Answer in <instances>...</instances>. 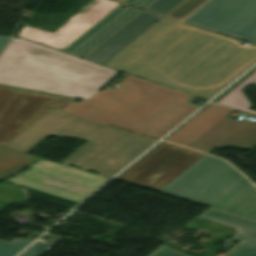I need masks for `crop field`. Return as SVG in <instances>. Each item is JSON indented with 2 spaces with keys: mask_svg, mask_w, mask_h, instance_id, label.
<instances>
[{
  "mask_svg": "<svg viewBox=\"0 0 256 256\" xmlns=\"http://www.w3.org/2000/svg\"><path fill=\"white\" fill-rule=\"evenodd\" d=\"M184 0H155L84 59L104 65Z\"/></svg>",
  "mask_w": 256,
  "mask_h": 256,
  "instance_id": "obj_11",
  "label": "crop field"
},
{
  "mask_svg": "<svg viewBox=\"0 0 256 256\" xmlns=\"http://www.w3.org/2000/svg\"><path fill=\"white\" fill-rule=\"evenodd\" d=\"M30 242L32 241L21 238L11 243L0 241V256H14Z\"/></svg>",
  "mask_w": 256,
  "mask_h": 256,
  "instance_id": "obj_19",
  "label": "crop field"
},
{
  "mask_svg": "<svg viewBox=\"0 0 256 256\" xmlns=\"http://www.w3.org/2000/svg\"><path fill=\"white\" fill-rule=\"evenodd\" d=\"M119 84L65 111L160 139L198 109L183 103L190 96L134 77Z\"/></svg>",
  "mask_w": 256,
  "mask_h": 256,
  "instance_id": "obj_4",
  "label": "crop field"
},
{
  "mask_svg": "<svg viewBox=\"0 0 256 256\" xmlns=\"http://www.w3.org/2000/svg\"><path fill=\"white\" fill-rule=\"evenodd\" d=\"M199 217L232 227L242 242L225 256H256V221L210 208Z\"/></svg>",
  "mask_w": 256,
  "mask_h": 256,
  "instance_id": "obj_13",
  "label": "crop field"
},
{
  "mask_svg": "<svg viewBox=\"0 0 256 256\" xmlns=\"http://www.w3.org/2000/svg\"><path fill=\"white\" fill-rule=\"evenodd\" d=\"M116 1H119V2H121V3H122V2H123V1H125V0H116Z\"/></svg>",
  "mask_w": 256,
  "mask_h": 256,
  "instance_id": "obj_25",
  "label": "crop field"
},
{
  "mask_svg": "<svg viewBox=\"0 0 256 256\" xmlns=\"http://www.w3.org/2000/svg\"><path fill=\"white\" fill-rule=\"evenodd\" d=\"M153 1L154 0H126L123 3L144 9L145 7H147Z\"/></svg>",
  "mask_w": 256,
  "mask_h": 256,
  "instance_id": "obj_22",
  "label": "crop field"
},
{
  "mask_svg": "<svg viewBox=\"0 0 256 256\" xmlns=\"http://www.w3.org/2000/svg\"><path fill=\"white\" fill-rule=\"evenodd\" d=\"M10 37L0 36V52L5 48Z\"/></svg>",
  "mask_w": 256,
  "mask_h": 256,
  "instance_id": "obj_23",
  "label": "crop field"
},
{
  "mask_svg": "<svg viewBox=\"0 0 256 256\" xmlns=\"http://www.w3.org/2000/svg\"><path fill=\"white\" fill-rule=\"evenodd\" d=\"M204 1L205 0H186L166 17L180 21Z\"/></svg>",
  "mask_w": 256,
  "mask_h": 256,
  "instance_id": "obj_18",
  "label": "crop field"
},
{
  "mask_svg": "<svg viewBox=\"0 0 256 256\" xmlns=\"http://www.w3.org/2000/svg\"><path fill=\"white\" fill-rule=\"evenodd\" d=\"M150 256H187V255L176 252L167 246H163L160 249L156 250L154 253H152Z\"/></svg>",
  "mask_w": 256,
  "mask_h": 256,
  "instance_id": "obj_21",
  "label": "crop field"
},
{
  "mask_svg": "<svg viewBox=\"0 0 256 256\" xmlns=\"http://www.w3.org/2000/svg\"><path fill=\"white\" fill-rule=\"evenodd\" d=\"M119 5V3L111 0H94L72 18L71 21L81 25L88 22L94 26Z\"/></svg>",
  "mask_w": 256,
  "mask_h": 256,
  "instance_id": "obj_17",
  "label": "crop field"
},
{
  "mask_svg": "<svg viewBox=\"0 0 256 256\" xmlns=\"http://www.w3.org/2000/svg\"><path fill=\"white\" fill-rule=\"evenodd\" d=\"M231 111L210 104L166 141L205 153L212 147L254 148L256 124L225 117Z\"/></svg>",
  "mask_w": 256,
  "mask_h": 256,
  "instance_id": "obj_6",
  "label": "crop field"
},
{
  "mask_svg": "<svg viewBox=\"0 0 256 256\" xmlns=\"http://www.w3.org/2000/svg\"><path fill=\"white\" fill-rule=\"evenodd\" d=\"M16 87L0 85V145L3 146L50 107L63 109L73 99L39 92H17Z\"/></svg>",
  "mask_w": 256,
  "mask_h": 256,
  "instance_id": "obj_9",
  "label": "crop field"
},
{
  "mask_svg": "<svg viewBox=\"0 0 256 256\" xmlns=\"http://www.w3.org/2000/svg\"><path fill=\"white\" fill-rule=\"evenodd\" d=\"M41 158L0 146V180L28 167Z\"/></svg>",
  "mask_w": 256,
  "mask_h": 256,
  "instance_id": "obj_16",
  "label": "crop field"
},
{
  "mask_svg": "<svg viewBox=\"0 0 256 256\" xmlns=\"http://www.w3.org/2000/svg\"><path fill=\"white\" fill-rule=\"evenodd\" d=\"M214 150H215V149L212 148V149L208 152V154H210V153H211L212 151H214Z\"/></svg>",
  "mask_w": 256,
  "mask_h": 256,
  "instance_id": "obj_24",
  "label": "crop field"
},
{
  "mask_svg": "<svg viewBox=\"0 0 256 256\" xmlns=\"http://www.w3.org/2000/svg\"><path fill=\"white\" fill-rule=\"evenodd\" d=\"M124 6V4H121L92 29L78 38L63 52L83 58L139 12H141V10L131 7L122 9Z\"/></svg>",
  "mask_w": 256,
  "mask_h": 256,
  "instance_id": "obj_12",
  "label": "crop field"
},
{
  "mask_svg": "<svg viewBox=\"0 0 256 256\" xmlns=\"http://www.w3.org/2000/svg\"><path fill=\"white\" fill-rule=\"evenodd\" d=\"M0 56V84L88 100L119 71L22 39Z\"/></svg>",
  "mask_w": 256,
  "mask_h": 256,
  "instance_id": "obj_3",
  "label": "crop field"
},
{
  "mask_svg": "<svg viewBox=\"0 0 256 256\" xmlns=\"http://www.w3.org/2000/svg\"><path fill=\"white\" fill-rule=\"evenodd\" d=\"M29 167L32 168L30 171L5 181L77 203L109 180V178L44 159Z\"/></svg>",
  "mask_w": 256,
  "mask_h": 256,
  "instance_id": "obj_7",
  "label": "crop field"
},
{
  "mask_svg": "<svg viewBox=\"0 0 256 256\" xmlns=\"http://www.w3.org/2000/svg\"><path fill=\"white\" fill-rule=\"evenodd\" d=\"M203 153L162 142L117 180L159 192Z\"/></svg>",
  "mask_w": 256,
  "mask_h": 256,
  "instance_id": "obj_8",
  "label": "crop field"
},
{
  "mask_svg": "<svg viewBox=\"0 0 256 256\" xmlns=\"http://www.w3.org/2000/svg\"><path fill=\"white\" fill-rule=\"evenodd\" d=\"M248 84L256 86V68L234 87L216 99L214 103L256 115L255 111L248 109L251 107V103L241 91Z\"/></svg>",
  "mask_w": 256,
  "mask_h": 256,
  "instance_id": "obj_15",
  "label": "crop field"
},
{
  "mask_svg": "<svg viewBox=\"0 0 256 256\" xmlns=\"http://www.w3.org/2000/svg\"><path fill=\"white\" fill-rule=\"evenodd\" d=\"M92 27L93 26L88 23L83 26L74 23L63 31V35L61 37H58L24 25L22 31L18 35L34 42L63 51L78 37Z\"/></svg>",
  "mask_w": 256,
  "mask_h": 256,
  "instance_id": "obj_14",
  "label": "crop field"
},
{
  "mask_svg": "<svg viewBox=\"0 0 256 256\" xmlns=\"http://www.w3.org/2000/svg\"><path fill=\"white\" fill-rule=\"evenodd\" d=\"M163 18L105 66L209 100L256 63V46Z\"/></svg>",
  "mask_w": 256,
  "mask_h": 256,
  "instance_id": "obj_1",
  "label": "crop field"
},
{
  "mask_svg": "<svg viewBox=\"0 0 256 256\" xmlns=\"http://www.w3.org/2000/svg\"><path fill=\"white\" fill-rule=\"evenodd\" d=\"M185 22L256 43V0H210Z\"/></svg>",
  "mask_w": 256,
  "mask_h": 256,
  "instance_id": "obj_10",
  "label": "crop field"
},
{
  "mask_svg": "<svg viewBox=\"0 0 256 256\" xmlns=\"http://www.w3.org/2000/svg\"><path fill=\"white\" fill-rule=\"evenodd\" d=\"M160 193L256 220V187L213 156L202 157Z\"/></svg>",
  "mask_w": 256,
  "mask_h": 256,
  "instance_id": "obj_5",
  "label": "crop field"
},
{
  "mask_svg": "<svg viewBox=\"0 0 256 256\" xmlns=\"http://www.w3.org/2000/svg\"><path fill=\"white\" fill-rule=\"evenodd\" d=\"M49 136L87 141L62 164L109 177L155 142L50 108L4 146L28 153Z\"/></svg>",
  "mask_w": 256,
  "mask_h": 256,
  "instance_id": "obj_2",
  "label": "crop field"
},
{
  "mask_svg": "<svg viewBox=\"0 0 256 256\" xmlns=\"http://www.w3.org/2000/svg\"><path fill=\"white\" fill-rule=\"evenodd\" d=\"M45 236L53 238L52 241L48 244L37 241L20 256H41L48 249H50L54 244H56L60 239H62V237H58L50 234H47Z\"/></svg>",
  "mask_w": 256,
  "mask_h": 256,
  "instance_id": "obj_20",
  "label": "crop field"
}]
</instances>
